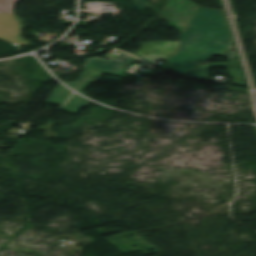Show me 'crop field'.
<instances>
[{
  "label": "crop field",
  "mask_w": 256,
  "mask_h": 256,
  "mask_svg": "<svg viewBox=\"0 0 256 256\" xmlns=\"http://www.w3.org/2000/svg\"><path fill=\"white\" fill-rule=\"evenodd\" d=\"M210 67H227L230 77L233 80V84L245 87V83L242 82L244 79L239 61L232 59H228V62H207L182 77L186 79L205 81L209 75V72L207 71Z\"/></svg>",
  "instance_id": "3"
},
{
  "label": "crop field",
  "mask_w": 256,
  "mask_h": 256,
  "mask_svg": "<svg viewBox=\"0 0 256 256\" xmlns=\"http://www.w3.org/2000/svg\"><path fill=\"white\" fill-rule=\"evenodd\" d=\"M54 121H47L46 127H39L38 130H46L44 138H58L55 132H51Z\"/></svg>",
  "instance_id": "10"
},
{
  "label": "crop field",
  "mask_w": 256,
  "mask_h": 256,
  "mask_svg": "<svg viewBox=\"0 0 256 256\" xmlns=\"http://www.w3.org/2000/svg\"><path fill=\"white\" fill-rule=\"evenodd\" d=\"M100 75H102V73H99L95 70L86 69L76 82H70L66 84L70 85L71 87L75 88L76 90L86 95L88 93H85L83 91L87 88V86L91 82L97 83L101 79H103L99 77Z\"/></svg>",
  "instance_id": "7"
},
{
  "label": "crop field",
  "mask_w": 256,
  "mask_h": 256,
  "mask_svg": "<svg viewBox=\"0 0 256 256\" xmlns=\"http://www.w3.org/2000/svg\"><path fill=\"white\" fill-rule=\"evenodd\" d=\"M135 61H137V58L122 53L112 61L98 57L87 59L83 67L120 77L124 74L125 66Z\"/></svg>",
  "instance_id": "4"
},
{
  "label": "crop field",
  "mask_w": 256,
  "mask_h": 256,
  "mask_svg": "<svg viewBox=\"0 0 256 256\" xmlns=\"http://www.w3.org/2000/svg\"><path fill=\"white\" fill-rule=\"evenodd\" d=\"M24 28L15 15L0 13V39L16 47L28 45L31 41L23 38Z\"/></svg>",
  "instance_id": "5"
},
{
  "label": "crop field",
  "mask_w": 256,
  "mask_h": 256,
  "mask_svg": "<svg viewBox=\"0 0 256 256\" xmlns=\"http://www.w3.org/2000/svg\"><path fill=\"white\" fill-rule=\"evenodd\" d=\"M226 24L223 11L198 7L181 35L177 53L166 59L170 69L182 76L214 56L237 59Z\"/></svg>",
  "instance_id": "1"
},
{
  "label": "crop field",
  "mask_w": 256,
  "mask_h": 256,
  "mask_svg": "<svg viewBox=\"0 0 256 256\" xmlns=\"http://www.w3.org/2000/svg\"><path fill=\"white\" fill-rule=\"evenodd\" d=\"M71 93V91L59 84L45 103L62 105Z\"/></svg>",
  "instance_id": "8"
},
{
  "label": "crop field",
  "mask_w": 256,
  "mask_h": 256,
  "mask_svg": "<svg viewBox=\"0 0 256 256\" xmlns=\"http://www.w3.org/2000/svg\"><path fill=\"white\" fill-rule=\"evenodd\" d=\"M134 2H135L134 7L141 9V10H144L149 5L148 0H134Z\"/></svg>",
  "instance_id": "12"
},
{
  "label": "crop field",
  "mask_w": 256,
  "mask_h": 256,
  "mask_svg": "<svg viewBox=\"0 0 256 256\" xmlns=\"http://www.w3.org/2000/svg\"><path fill=\"white\" fill-rule=\"evenodd\" d=\"M178 44H179V41L178 42H170V41L147 42V43H143L139 51L134 54L149 61L150 63H152L153 65L159 68L161 66H159L155 61L159 59H165L175 54L178 48Z\"/></svg>",
  "instance_id": "6"
},
{
  "label": "crop field",
  "mask_w": 256,
  "mask_h": 256,
  "mask_svg": "<svg viewBox=\"0 0 256 256\" xmlns=\"http://www.w3.org/2000/svg\"><path fill=\"white\" fill-rule=\"evenodd\" d=\"M198 6L190 0H167V5L163 7L161 15L162 18L182 33Z\"/></svg>",
  "instance_id": "2"
},
{
  "label": "crop field",
  "mask_w": 256,
  "mask_h": 256,
  "mask_svg": "<svg viewBox=\"0 0 256 256\" xmlns=\"http://www.w3.org/2000/svg\"><path fill=\"white\" fill-rule=\"evenodd\" d=\"M17 1L19 0H0V9L12 11L13 6Z\"/></svg>",
  "instance_id": "11"
},
{
  "label": "crop field",
  "mask_w": 256,
  "mask_h": 256,
  "mask_svg": "<svg viewBox=\"0 0 256 256\" xmlns=\"http://www.w3.org/2000/svg\"><path fill=\"white\" fill-rule=\"evenodd\" d=\"M89 103L90 101L74 94L70 101L60 109L76 114L84 105L87 106Z\"/></svg>",
  "instance_id": "9"
}]
</instances>
